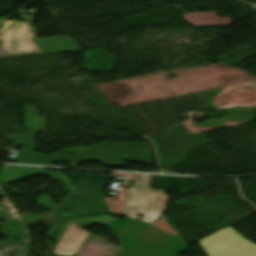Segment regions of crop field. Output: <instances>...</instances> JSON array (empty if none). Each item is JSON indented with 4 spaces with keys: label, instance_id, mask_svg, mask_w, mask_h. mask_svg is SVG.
Returning <instances> with one entry per match:
<instances>
[{
    "label": "crop field",
    "instance_id": "obj_1",
    "mask_svg": "<svg viewBox=\"0 0 256 256\" xmlns=\"http://www.w3.org/2000/svg\"><path fill=\"white\" fill-rule=\"evenodd\" d=\"M122 242V251L114 256H177L189 248L179 236L174 237L139 220L127 218L105 223Z\"/></svg>",
    "mask_w": 256,
    "mask_h": 256
},
{
    "label": "crop field",
    "instance_id": "obj_2",
    "mask_svg": "<svg viewBox=\"0 0 256 256\" xmlns=\"http://www.w3.org/2000/svg\"><path fill=\"white\" fill-rule=\"evenodd\" d=\"M150 184L151 176L146 175H141V182H134L123 216L137 219L141 214L142 221L152 223L162 215L168 197L164 191L150 190Z\"/></svg>",
    "mask_w": 256,
    "mask_h": 256
},
{
    "label": "crop field",
    "instance_id": "obj_3",
    "mask_svg": "<svg viewBox=\"0 0 256 256\" xmlns=\"http://www.w3.org/2000/svg\"><path fill=\"white\" fill-rule=\"evenodd\" d=\"M37 10H32L26 21H17L0 36V59L44 53L32 39L37 33V28L31 26Z\"/></svg>",
    "mask_w": 256,
    "mask_h": 256
},
{
    "label": "crop field",
    "instance_id": "obj_4",
    "mask_svg": "<svg viewBox=\"0 0 256 256\" xmlns=\"http://www.w3.org/2000/svg\"><path fill=\"white\" fill-rule=\"evenodd\" d=\"M198 243L208 256H256V245L245 240L227 226Z\"/></svg>",
    "mask_w": 256,
    "mask_h": 256
},
{
    "label": "crop field",
    "instance_id": "obj_5",
    "mask_svg": "<svg viewBox=\"0 0 256 256\" xmlns=\"http://www.w3.org/2000/svg\"><path fill=\"white\" fill-rule=\"evenodd\" d=\"M89 232L71 224L65 231L55 250V256H72L79 251Z\"/></svg>",
    "mask_w": 256,
    "mask_h": 256
},
{
    "label": "crop field",
    "instance_id": "obj_6",
    "mask_svg": "<svg viewBox=\"0 0 256 256\" xmlns=\"http://www.w3.org/2000/svg\"><path fill=\"white\" fill-rule=\"evenodd\" d=\"M72 39V38H71ZM69 36L36 39L46 54L79 50Z\"/></svg>",
    "mask_w": 256,
    "mask_h": 256
},
{
    "label": "crop field",
    "instance_id": "obj_7",
    "mask_svg": "<svg viewBox=\"0 0 256 256\" xmlns=\"http://www.w3.org/2000/svg\"><path fill=\"white\" fill-rule=\"evenodd\" d=\"M183 18L195 26L230 25L229 17L216 18L215 12L184 14Z\"/></svg>",
    "mask_w": 256,
    "mask_h": 256
},
{
    "label": "crop field",
    "instance_id": "obj_8",
    "mask_svg": "<svg viewBox=\"0 0 256 256\" xmlns=\"http://www.w3.org/2000/svg\"><path fill=\"white\" fill-rule=\"evenodd\" d=\"M36 107L25 106V129L29 131L46 130L45 117H38Z\"/></svg>",
    "mask_w": 256,
    "mask_h": 256
},
{
    "label": "crop field",
    "instance_id": "obj_9",
    "mask_svg": "<svg viewBox=\"0 0 256 256\" xmlns=\"http://www.w3.org/2000/svg\"><path fill=\"white\" fill-rule=\"evenodd\" d=\"M21 150H22V152H21L20 158L18 160V163H26L24 157H26L28 163L35 164V165H45V166H53V165L52 164H37V163L55 162V161L61 160L59 157L35 160V158L53 157V156H58V155L55 154V155L43 156L41 153H34L33 145H25L21 148ZM33 154H38L39 156L33 157Z\"/></svg>",
    "mask_w": 256,
    "mask_h": 256
},
{
    "label": "crop field",
    "instance_id": "obj_10",
    "mask_svg": "<svg viewBox=\"0 0 256 256\" xmlns=\"http://www.w3.org/2000/svg\"><path fill=\"white\" fill-rule=\"evenodd\" d=\"M110 219H114V218H112L108 215H104V216H97V217L79 218V219L68 220V221L81 227V226H85V225H89V224H98V223L105 222Z\"/></svg>",
    "mask_w": 256,
    "mask_h": 256
},
{
    "label": "crop field",
    "instance_id": "obj_11",
    "mask_svg": "<svg viewBox=\"0 0 256 256\" xmlns=\"http://www.w3.org/2000/svg\"><path fill=\"white\" fill-rule=\"evenodd\" d=\"M21 247L2 246L0 245V256H13Z\"/></svg>",
    "mask_w": 256,
    "mask_h": 256
},
{
    "label": "crop field",
    "instance_id": "obj_12",
    "mask_svg": "<svg viewBox=\"0 0 256 256\" xmlns=\"http://www.w3.org/2000/svg\"><path fill=\"white\" fill-rule=\"evenodd\" d=\"M14 20H6L2 25H0V33L13 22Z\"/></svg>",
    "mask_w": 256,
    "mask_h": 256
}]
</instances>
